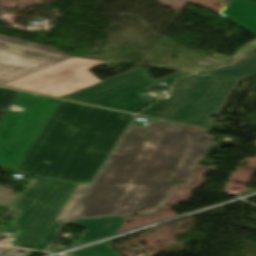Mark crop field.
Instances as JSON below:
<instances>
[{"mask_svg":"<svg viewBox=\"0 0 256 256\" xmlns=\"http://www.w3.org/2000/svg\"><path fill=\"white\" fill-rule=\"evenodd\" d=\"M188 73H184L183 75L181 74V72H177V73H174V74H172V75H169V76H166V77H164V78H161V79H159V80H157L158 82H166V81H168V80H170V79H172V80H175V79H177V78H180V77H182V76H184V75H187Z\"/></svg>","mask_w":256,"mask_h":256,"instance_id":"obj_14","label":"crop field"},{"mask_svg":"<svg viewBox=\"0 0 256 256\" xmlns=\"http://www.w3.org/2000/svg\"><path fill=\"white\" fill-rule=\"evenodd\" d=\"M75 186L33 176L15 206L24 212L15 223L23 231L13 245L35 249Z\"/></svg>","mask_w":256,"mask_h":256,"instance_id":"obj_4","label":"crop field"},{"mask_svg":"<svg viewBox=\"0 0 256 256\" xmlns=\"http://www.w3.org/2000/svg\"><path fill=\"white\" fill-rule=\"evenodd\" d=\"M4 251H5L4 249H0V255H1Z\"/></svg>","mask_w":256,"mask_h":256,"instance_id":"obj_17","label":"crop field"},{"mask_svg":"<svg viewBox=\"0 0 256 256\" xmlns=\"http://www.w3.org/2000/svg\"><path fill=\"white\" fill-rule=\"evenodd\" d=\"M123 218L124 216H114V217H100V218H90V219H82V220H72V221H66V222L87 229L84 235L81 237V239L77 243V244H80V243H84L90 240H94L100 237H104V236L116 233Z\"/></svg>","mask_w":256,"mask_h":256,"instance_id":"obj_10","label":"crop field"},{"mask_svg":"<svg viewBox=\"0 0 256 256\" xmlns=\"http://www.w3.org/2000/svg\"><path fill=\"white\" fill-rule=\"evenodd\" d=\"M83 209H84V207L76 206V208L74 209V211L72 212V214L70 215L68 220L78 219V217L81 214V212L83 211Z\"/></svg>","mask_w":256,"mask_h":256,"instance_id":"obj_15","label":"crop field"},{"mask_svg":"<svg viewBox=\"0 0 256 256\" xmlns=\"http://www.w3.org/2000/svg\"><path fill=\"white\" fill-rule=\"evenodd\" d=\"M147 71L137 67L61 98L136 113L151 101L140 99L135 93L157 85Z\"/></svg>","mask_w":256,"mask_h":256,"instance_id":"obj_5","label":"crop field"},{"mask_svg":"<svg viewBox=\"0 0 256 256\" xmlns=\"http://www.w3.org/2000/svg\"><path fill=\"white\" fill-rule=\"evenodd\" d=\"M64 221L61 222H53L43 239L40 241L38 246L36 247L37 250L45 251L48 243L51 241V239L54 237V235L57 232V228L62 225Z\"/></svg>","mask_w":256,"mask_h":256,"instance_id":"obj_13","label":"crop field"},{"mask_svg":"<svg viewBox=\"0 0 256 256\" xmlns=\"http://www.w3.org/2000/svg\"><path fill=\"white\" fill-rule=\"evenodd\" d=\"M12 104L23 112L8 111ZM133 116L0 88V164L90 183Z\"/></svg>","mask_w":256,"mask_h":256,"instance_id":"obj_1","label":"crop field"},{"mask_svg":"<svg viewBox=\"0 0 256 256\" xmlns=\"http://www.w3.org/2000/svg\"><path fill=\"white\" fill-rule=\"evenodd\" d=\"M69 256H120L105 243L68 253Z\"/></svg>","mask_w":256,"mask_h":256,"instance_id":"obj_11","label":"crop field"},{"mask_svg":"<svg viewBox=\"0 0 256 256\" xmlns=\"http://www.w3.org/2000/svg\"><path fill=\"white\" fill-rule=\"evenodd\" d=\"M219 14L256 36V3L251 0H233Z\"/></svg>","mask_w":256,"mask_h":256,"instance_id":"obj_9","label":"crop field"},{"mask_svg":"<svg viewBox=\"0 0 256 256\" xmlns=\"http://www.w3.org/2000/svg\"><path fill=\"white\" fill-rule=\"evenodd\" d=\"M238 80L190 75L178 80L172 95L166 100L161 98L140 114L191 124L209 126L218 115Z\"/></svg>","mask_w":256,"mask_h":256,"instance_id":"obj_3","label":"crop field"},{"mask_svg":"<svg viewBox=\"0 0 256 256\" xmlns=\"http://www.w3.org/2000/svg\"><path fill=\"white\" fill-rule=\"evenodd\" d=\"M101 63L71 58L2 86L61 97L99 82L87 69Z\"/></svg>","mask_w":256,"mask_h":256,"instance_id":"obj_6","label":"crop field"},{"mask_svg":"<svg viewBox=\"0 0 256 256\" xmlns=\"http://www.w3.org/2000/svg\"><path fill=\"white\" fill-rule=\"evenodd\" d=\"M9 110H12V111H22L23 108L12 105V106H10Z\"/></svg>","mask_w":256,"mask_h":256,"instance_id":"obj_16","label":"crop field"},{"mask_svg":"<svg viewBox=\"0 0 256 256\" xmlns=\"http://www.w3.org/2000/svg\"><path fill=\"white\" fill-rule=\"evenodd\" d=\"M130 126L78 205L79 219L151 212L185 186L215 137L166 121ZM147 134V136H144ZM103 166V167H104Z\"/></svg>","mask_w":256,"mask_h":256,"instance_id":"obj_2","label":"crop field"},{"mask_svg":"<svg viewBox=\"0 0 256 256\" xmlns=\"http://www.w3.org/2000/svg\"><path fill=\"white\" fill-rule=\"evenodd\" d=\"M224 68H228L224 71ZM202 75H211L227 78L247 80L256 76V46L246 51L229 65H222L212 70L201 73Z\"/></svg>","mask_w":256,"mask_h":256,"instance_id":"obj_8","label":"crop field"},{"mask_svg":"<svg viewBox=\"0 0 256 256\" xmlns=\"http://www.w3.org/2000/svg\"><path fill=\"white\" fill-rule=\"evenodd\" d=\"M86 187L87 185L77 184L71 196L60 210L55 221L65 220V218L67 217V215L69 214V212L71 211V209L73 208V206L75 205V203L77 202V200L79 199V197L81 196Z\"/></svg>","mask_w":256,"mask_h":256,"instance_id":"obj_12","label":"crop field"},{"mask_svg":"<svg viewBox=\"0 0 256 256\" xmlns=\"http://www.w3.org/2000/svg\"><path fill=\"white\" fill-rule=\"evenodd\" d=\"M69 58L55 48L0 35V85Z\"/></svg>","mask_w":256,"mask_h":256,"instance_id":"obj_7","label":"crop field"}]
</instances>
